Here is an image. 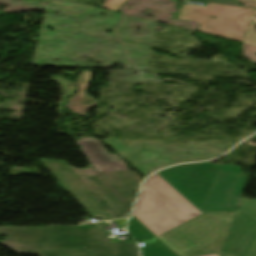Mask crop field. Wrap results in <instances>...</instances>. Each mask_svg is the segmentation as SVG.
Segmentation results:
<instances>
[{
	"label": "crop field",
	"mask_w": 256,
	"mask_h": 256,
	"mask_svg": "<svg viewBox=\"0 0 256 256\" xmlns=\"http://www.w3.org/2000/svg\"><path fill=\"white\" fill-rule=\"evenodd\" d=\"M125 1L126 0H105L101 7L118 11Z\"/></svg>",
	"instance_id": "13"
},
{
	"label": "crop field",
	"mask_w": 256,
	"mask_h": 256,
	"mask_svg": "<svg viewBox=\"0 0 256 256\" xmlns=\"http://www.w3.org/2000/svg\"><path fill=\"white\" fill-rule=\"evenodd\" d=\"M91 71H83L76 80V94L68 98L65 107L79 116H85L89 107H95L98 103L85 91L90 81Z\"/></svg>",
	"instance_id": "10"
},
{
	"label": "crop field",
	"mask_w": 256,
	"mask_h": 256,
	"mask_svg": "<svg viewBox=\"0 0 256 256\" xmlns=\"http://www.w3.org/2000/svg\"><path fill=\"white\" fill-rule=\"evenodd\" d=\"M253 10L213 3H206L205 6L183 5L178 19L200 23V32L242 42Z\"/></svg>",
	"instance_id": "5"
},
{
	"label": "crop field",
	"mask_w": 256,
	"mask_h": 256,
	"mask_svg": "<svg viewBox=\"0 0 256 256\" xmlns=\"http://www.w3.org/2000/svg\"><path fill=\"white\" fill-rule=\"evenodd\" d=\"M41 256H92L86 249L58 250L41 253Z\"/></svg>",
	"instance_id": "11"
},
{
	"label": "crop field",
	"mask_w": 256,
	"mask_h": 256,
	"mask_svg": "<svg viewBox=\"0 0 256 256\" xmlns=\"http://www.w3.org/2000/svg\"><path fill=\"white\" fill-rule=\"evenodd\" d=\"M0 234L9 236L8 240L0 241L1 244L19 253L40 254L43 251L46 228L0 227Z\"/></svg>",
	"instance_id": "8"
},
{
	"label": "crop field",
	"mask_w": 256,
	"mask_h": 256,
	"mask_svg": "<svg viewBox=\"0 0 256 256\" xmlns=\"http://www.w3.org/2000/svg\"><path fill=\"white\" fill-rule=\"evenodd\" d=\"M244 43L256 45V9L251 18L247 33L244 38Z\"/></svg>",
	"instance_id": "12"
},
{
	"label": "crop field",
	"mask_w": 256,
	"mask_h": 256,
	"mask_svg": "<svg viewBox=\"0 0 256 256\" xmlns=\"http://www.w3.org/2000/svg\"><path fill=\"white\" fill-rule=\"evenodd\" d=\"M128 231L139 242L146 244L145 247L141 248L142 256H176L133 216H131L129 221Z\"/></svg>",
	"instance_id": "9"
},
{
	"label": "crop field",
	"mask_w": 256,
	"mask_h": 256,
	"mask_svg": "<svg viewBox=\"0 0 256 256\" xmlns=\"http://www.w3.org/2000/svg\"><path fill=\"white\" fill-rule=\"evenodd\" d=\"M242 6L256 8V0H238Z\"/></svg>",
	"instance_id": "16"
},
{
	"label": "crop field",
	"mask_w": 256,
	"mask_h": 256,
	"mask_svg": "<svg viewBox=\"0 0 256 256\" xmlns=\"http://www.w3.org/2000/svg\"><path fill=\"white\" fill-rule=\"evenodd\" d=\"M132 215L157 237L201 213L156 173L144 182Z\"/></svg>",
	"instance_id": "2"
},
{
	"label": "crop field",
	"mask_w": 256,
	"mask_h": 256,
	"mask_svg": "<svg viewBox=\"0 0 256 256\" xmlns=\"http://www.w3.org/2000/svg\"><path fill=\"white\" fill-rule=\"evenodd\" d=\"M235 213L206 212L158 237L178 256L220 253Z\"/></svg>",
	"instance_id": "3"
},
{
	"label": "crop field",
	"mask_w": 256,
	"mask_h": 256,
	"mask_svg": "<svg viewBox=\"0 0 256 256\" xmlns=\"http://www.w3.org/2000/svg\"><path fill=\"white\" fill-rule=\"evenodd\" d=\"M243 46H244L245 56L248 59L256 62V55H255V53H256V46H252V45H248V44H244V43H243Z\"/></svg>",
	"instance_id": "15"
},
{
	"label": "crop field",
	"mask_w": 256,
	"mask_h": 256,
	"mask_svg": "<svg viewBox=\"0 0 256 256\" xmlns=\"http://www.w3.org/2000/svg\"><path fill=\"white\" fill-rule=\"evenodd\" d=\"M209 163L210 162H203V163H197V164H183V165H178V166H175V167H172V168L164 169L160 172L167 173V172L187 169V168H191V167H196V166H200V165H205V164H209Z\"/></svg>",
	"instance_id": "14"
},
{
	"label": "crop field",
	"mask_w": 256,
	"mask_h": 256,
	"mask_svg": "<svg viewBox=\"0 0 256 256\" xmlns=\"http://www.w3.org/2000/svg\"><path fill=\"white\" fill-rule=\"evenodd\" d=\"M220 254H215V255H204V256H219Z\"/></svg>",
	"instance_id": "18"
},
{
	"label": "crop field",
	"mask_w": 256,
	"mask_h": 256,
	"mask_svg": "<svg viewBox=\"0 0 256 256\" xmlns=\"http://www.w3.org/2000/svg\"><path fill=\"white\" fill-rule=\"evenodd\" d=\"M125 221H126V219L125 220L115 221V222H116L117 227L120 228V227L124 226Z\"/></svg>",
	"instance_id": "17"
},
{
	"label": "crop field",
	"mask_w": 256,
	"mask_h": 256,
	"mask_svg": "<svg viewBox=\"0 0 256 256\" xmlns=\"http://www.w3.org/2000/svg\"><path fill=\"white\" fill-rule=\"evenodd\" d=\"M222 165L209 164L167 174L157 173L200 210Z\"/></svg>",
	"instance_id": "6"
},
{
	"label": "crop field",
	"mask_w": 256,
	"mask_h": 256,
	"mask_svg": "<svg viewBox=\"0 0 256 256\" xmlns=\"http://www.w3.org/2000/svg\"><path fill=\"white\" fill-rule=\"evenodd\" d=\"M242 168L236 165L224 164L212 189L210 190L201 213L206 211L235 212L240 194L249 176L241 173Z\"/></svg>",
	"instance_id": "7"
},
{
	"label": "crop field",
	"mask_w": 256,
	"mask_h": 256,
	"mask_svg": "<svg viewBox=\"0 0 256 256\" xmlns=\"http://www.w3.org/2000/svg\"><path fill=\"white\" fill-rule=\"evenodd\" d=\"M103 226H48L44 251L84 246L94 256H138L134 242L109 243Z\"/></svg>",
	"instance_id": "4"
},
{
	"label": "crop field",
	"mask_w": 256,
	"mask_h": 256,
	"mask_svg": "<svg viewBox=\"0 0 256 256\" xmlns=\"http://www.w3.org/2000/svg\"><path fill=\"white\" fill-rule=\"evenodd\" d=\"M76 143L83 147L91 164L86 169L72 168L64 161H39L58 179V185L93 217L102 220L127 217L141 183L137 174L128 171L117 155H108L99 140L81 138Z\"/></svg>",
	"instance_id": "1"
}]
</instances>
